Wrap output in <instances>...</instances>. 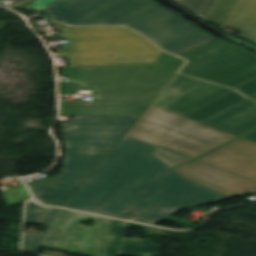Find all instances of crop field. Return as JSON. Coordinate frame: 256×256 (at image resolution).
<instances>
[{"instance_id":"8a807250","label":"crop field","mask_w":256,"mask_h":256,"mask_svg":"<svg viewBox=\"0 0 256 256\" xmlns=\"http://www.w3.org/2000/svg\"><path fill=\"white\" fill-rule=\"evenodd\" d=\"M155 149L124 136L64 207L154 225L184 208L230 198L185 179L153 156ZM123 209L142 215L122 216Z\"/></svg>"},{"instance_id":"ac0d7876","label":"crop field","mask_w":256,"mask_h":256,"mask_svg":"<svg viewBox=\"0 0 256 256\" xmlns=\"http://www.w3.org/2000/svg\"><path fill=\"white\" fill-rule=\"evenodd\" d=\"M188 59L152 105L243 135L256 128V56L218 40L178 55ZM243 138L256 141V131Z\"/></svg>"},{"instance_id":"34b2d1b8","label":"crop field","mask_w":256,"mask_h":256,"mask_svg":"<svg viewBox=\"0 0 256 256\" xmlns=\"http://www.w3.org/2000/svg\"><path fill=\"white\" fill-rule=\"evenodd\" d=\"M182 62L162 52L154 63L63 67V75L92 89L95 100L62 101V115L139 116Z\"/></svg>"},{"instance_id":"412701ff","label":"crop field","mask_w":256,"mask_h":256,"mask_svg":"<svg viewBox=\"0 0 256 256\" xmlns=\"http://www.w3.org/2000/svg\"><path fill=\"white\" fill-rule=\"evenodd\" d=\"M41 12L70 25L124 24L173 54L216 39L152 0H56Z\"/></svg>"},{"instance_id":"f4fd0767","label":"crop field","mask_w":256,"mask_h":256,"mask_svg":"<svg viewBox=\"0 0 256 256\" xmlns=\"http://www.w3.org/2000/svg\"><path fill=\"white\" fill-rule=\"evenodd\" d=\"M179 115L150 105L125 135L192 159L237 137ZM199 160L256 181V142L241 138Z\"/></svg>"},{"instance_id":"dd49c442","label":"crop field","mask_w":256,"mask_h":256,"mask_svg":"<svg viewBox=\"0 0 256 256\" xmlns=\"http://www.w3.org/2000/svg\"><path fill=\"white\" fill-rule=\"evenodd\" d=\"M136 118L76 116V124H62L64 168L50 181L29 185L34 196L65 203Z\"/></svg>"},{"instance_id":"e52e79f7","label":"crop field","mask_w":256,"mask_h":256,"mask_svg":"<svg viewBox=\"0 0 256 256\" xmlns=\"http://www.w3.org/2000/svg\"><path fill=\"white\" fill-rule=\"evenodd\" d=\"M58 54L71 66L154 62L162 50L126 27H69Z\"/></svg>"},{"instance_id":"d8731c3e","label":"crop field","mask_w":256,"mask_h":256,"mask_svg":"<svg viewBox=\"0 0 256 256\" xmlns=\"http://www.w3.org/2000/svg\"><path fill=\"white\" fill-rule=\"evenodd\" d=\"M93 217L94 227L81 225ZM110 219L60 209L41 246L88 256H105Z\"/></svg>"},{"instance_id":"5a996713","label":"crop field","mask_w":256,"mask_h":256,"mask_svg":"<svg viewBox=\"0 0 256 256\" xmlns=\"http://www.w3.org/2000/svg\"><path fill=\"white\" fill-rule=\"evenodd\" d=\"M174 169L189 180L232 197L256 193V182L197 160Z\"/></svg>"},{"instance_id":"3316defc","label":"crop field","mask_w":256,"mask_h":256,"mask_svg":"<svg viewBox=\"0 0 256 256\" xmlns=\"http://www.w3.org/2000/svg\"><path fill=\"white\" fill-rule=\"evenodd\" d=\"M204 20L240 32L256 22V0H217Z\"/></svg>"},{"instance_id":"28ad6ade","label":"crop field","mask_w":256,"mask_h":256,"mask_svg":"<svg viewBox=\"0 0 256 256\" xmlns=\"http://www.w3.org/2000/svg\"><path fill=\"white\" fill-rule=\"evenodd\" d=\"M124 227L145 229L146 226L111 219L108 248L106 256L116 253L128 256H160L163 245L151 244L150 239H122Z\"/></svg>"},{"instance_id":"d1516ede","label":"crop field","mask_w":256,"mask_h":256,"mask_svg":"<svg viewBox=\"0 0 256 256\" xmlns=\"http://www.w3.org/2000/svg\"><path fill=\"white\" fill-rule=\"evenodd\" d=\"M32 207L33 201H29L25 223L49 225L43 236L24 233L22 250L35 252L40 246L59 209L53 208L51 213H40L41 215H38V213H32Z\"/></svg>"},{"instance_id":"22f410ed","label":"crop field","mask_w":256,"mask_h":256,"mask_svg":"<svg viewBox=\"0 0 256 256\" xmlns=\"http://www.w3.org/2000/svg\"><path fill=\"white\" fill-rule=\"evenodd\" d=\"M196 15L205 17L216 0H173Z\"/></svg>"},{"instance_id":"cbeb9de0","label":"crop field","mask_w":256,"mask_h":256,"mask_svg":"<svg viewBox=\"0 0 256 256\" xmlns=\"http://www.w3.org/2000/svg\"><path fill=\"white\" fill-rule=\"evenodd\" d=\"M153 155H155L157 158L162 160L164 163H166L168 166L172 167L177 164L186 162L188 160H191L189 158L177 155L175 153L163 150L158 148L156 151L153 152Z\"/></svg>"},{"instance_id":"5142ce71","label":"crop field","mask_w":256,"mask_h":256,"mask_svg":"<svg viewBox=\"0 0 256 256\" xmlns=\"http://www.w3.org/2000/svg\"><path fill=\"white\" fill-rule=\"evenodd\" d=\"M3 195L10 206L31 199V196L25 186L3 192Z\"/></svg>"},{"instance_id":"d9b57169","label":"crop field","mask_w":256,"mask_h":256,"mask_svg":"<svg viewBox=\"0 0 256 256\" xmlns=\"http://www.w3.org/2000/svg\"><path fill=\"white\" fill-rule=\"evenodd\" d=\"M78 87L79 84L76 82H65L61 84V92L62 94H67V95H76L78 94Z\"/></svg>"},{"instance_id":"733c2abd","label":"crop field","mask_w":256,"mask_h":256,"mask_svg":"<svg viewBox=\"0 0 256 256\" xmlns=\"http://www.w3.org/2000/svg\"><path fill=\"white\" fill-rule=\"evenodd\" d=\"M237 36L245 38L247 40H254L256 39V25L250 27L249 29L243 31L242 33L238 34Z\"/></svg>"},{"instance_id":"4a817a6b","label":"crop field","mask_w":256,"mask_h":256,"mask_svg":"<svg viewBox=\"0 0 256 256\" xmlns=\"http://www.w3.org/2000/svg\"><path fill=\"white\" fill-rule=\"evenodd\" d=\"M55 0H36L29 4L30 7L40 11Z\"/></svg>"},{"instance_id":"bc2a9ffb","label":"crop field","mask_w":256,"mask_h":256,"mask_svg":"<svg viewBox=\"0 0 256 256\" xmlns=\"http://www.w3.org/2000/svg\"><path fill=\"white\" fill-rule=\"evenodd\" d=\"M51 207H44L34 202L33 212H51Z\"/></svg>"},{"instance_id":"214f88e0","label":"crop field","mask_w":256,"mask_h":256,"mask_svg":"<svg viewBox=\"0 0 256 256\" xmlns=\"http://www.w3.org/2000/svg\"><path fill=\"white\" fill-rule=\"evenodd\" d=\"M177 57H178V56H177ZM182 59H183V58H182ZM183 60H185V61L187 62V60H186V59H183ZM186 62H185V63H186ZM185 63H184V64H185ZM184 64L180 67V69L184 66ZM180 69H179V70H180ZM179 70H178V72H177V73H179ZM220 86H221V85H220ZM224 87H225V86H224ZM227 88H228V87H227ZM230 89H231V88H230ZM233 90H234V89H233Z\"/></svg>"},{"instance_id":"92a150f3","label":"crop field","mask_w":256,"mask_h":256,"mask_svg":"<svg viewBox=\"0 0 256 256\" xmlns=\"http://www.w3.org/2000/svg\"><path fill=\"white\" fill-rule=\"evenodd\" d=\"M256 130V129H255ZM254 131V130H253ZM252 132V131H251ZM250 133V132H249ZM246 135V134H245ZM244 136V135H243ZM242 137V136H241Z\"/></svg>"},{"instance_id":"dafd665d","label":"crop field","mask_w":256,"mask_h":256,"mask_svg":"<svg viewBox=\"0 0 256 256\" xmlns=\"http://www.w3.org/2000/svg\"><path fill=\"white\" fill-rule=\"evenodd\" d=\"M253 42H255V43H256V40H254Z\"/></svg>"}]
</instances>
